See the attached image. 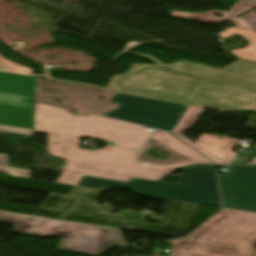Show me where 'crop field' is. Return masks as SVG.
<instances>
[{"label":"crop field","instance_id":"cbeb9de0","mask_svg":"<svg viewBox=\"0 0 256 256\" xmlns=\"http://www.w3.org/2000/svg\"><path fill=\"white\" fill-rule=\"evenodd\" d=\"M0 71L34 76L32 75L31 69L18 65L11 61H8L4 59L1 55H0Z\"/></svg>","mask_w":256,"mask_h":256},{"label":"crop field","instance_id":"5142ce71","mask_svg":"<svg viewBox=\"0 0 256 256\" xmlns=\"http://www.w3.org/2000/svg\"><path fill=\"white\" fill-rule=\"evenodd\" d=\"M254 151L248 150L246 154H238L232 161L231 163H240V164H245L248 163L249 159L253 155Z\"/></svg>","mask_w":256,"mask_h":256},{"label":"crop field","instance_id":"ac0d7876","mask_svg":"<svg viewBox=\"0 0 256 256\" xmlns=\"http://www.w3.org/2000/svg\"><path fill=\"white\" fill-rule=\"evenodd\" d=\"M107 90L219 111H256V62L240 60L224 69L191 62L135 65Z\"/></svg>","mask_w":256,"mask_h":256},{"label":"crop field","instance_id":"3316defc","mask_svg":"<svg viewBox=\"0 0 256 256\" xmlns=\"http://www.w3.org/2000/svg\"><path fill=\"white\" fill-rule=\"evenodd\" d=\"M238 142V140H229L227 138L205 134L201 136L195 144L203 147L228 163L236 154L231 152V150Z\"/></svg>","mask_w":256,"mask_h":256},{"label":"crop field","instance_id":"34b2d1b8","mask_svg":"<svg viewBox=\"0 0 256 256\" xmlns=\"http://www.w3.org/2000/svg\"><path fill=\"white\" fill-rule=\"evenodd\" d=\"M187 238L165 242L169 256H256V213L223 208Z\"/></svg>","mask_w":256,"mask_h":256},{"label":"crop field","instance_id":"8a807250","mask_svg":"<svg viewBox=\"0 0 256 256\" xmlns=\"http://www.w3.org/2000/svg\"><path fill=\"white\" fill-rule=\"evenodd\" d=\"M34 132L48 134V152L68 158L58 183L76 186L82 175L128 182L130 177L157 181L168 169L191 164H214L170 133L156 130L152 139L189 161L161 165L137 161L142 151L106 145L88 152L79 149V137L116 142L115 145L143 149L152 132L144 127L90 114L73 116L66 109L35 104Z\"/></svg>","mask_w":256,"mask_h":256},{"label":"crop field","instance_id":"28ad6ade","mask_svg":"<svg viewBox=\"0 0 256 256\" xmlns=\"http://www.w3.org/2000/svg\"><path fill=\"white\" fill-rule=\"evenodd\" d=\"M235 33H238L245 39L249 40V45L244 49L231 50L230 52L240 59L256 61V32L247 29L230 27L220 34V36L226 38Z\"/></svg>","mask_w":256,"mask_h":256},{"label":"crop field","instance_id":"5a996713","mask_svg":"<svg viewBox=\"0 0 256 256\" xmlns=\"http://www.w3.org/2000/svg\"><path fill=\"white\" fill-rule=\"evenodd\" d=\"M256 8V0H239L232 6L228 12L209 11L202 13H187L172 11L171 14L176 17L194 19L202 23L217 24L221 21H231L236 27L247 28L256 31V10L251 11L240 18L237 16ZM215 13L222 14L223 18L213 16Z\"/></svg>","mask_w":256,"mask_h":256},{"label":"crop field","instance_id":"dd49c442","mask_svg":"<svg viewBox=\"0 0 256 256\" xmlns=\"http://www.w3.org/2000/svg\"><path fill=\"white\" fill-rule=\"evenodd\" d=\"M110 101L120 106L103 116L167 131L171 130L187 108L186 105L121 93H116Z\"/></svg>","mask_w":256,"mask_h":256},{"label":"crop field","instance_id":"733c2abd","mask_svg":"<svg viewBox=\"0 0 256 256\" xmlns=\"http://www.w3.org/2000/svg\"><path fill=\"white\" fill-rule=\"evenodd\" d=\"M251 164H256V157H255V159L253 160V162Z\"/></svg>","mask_w":256,"mask_h":256},{"label":"crop field","instance_id":"e52e79f7","mask_svg":"<svg viewBox=\"0 0 256 256\" xmlns=\"http://www.w3.org/2000/svg\"><path fill=\"white\" fill-rule=\"evenodd\" d=\"M36 78L0 72V124L33 129Z\"/></svg>","mask_w":256,"mask_h":256},{"label":"crop field","instance_id":"f4fd0767","mask_svg":"<svg viewBox=\"0 0 256 256\" xmlns=\"http://www.w3.org/2000/svg\"><path fill=\"white\" fill-rule=\"evenodd\" d=\"M177 175L179 185L131 179L129 184L83 177L79 186L109 191L111 187L156 198L221 207L214 165H195Z\"/></svg>","mask_w":256,"mask_h":256},{"label":"crop field","instance_id":"d9b57169","mask_svg":"<svg viewBox=\"0 0 256 256\" xmlns=\"http://www.w3.org/2000/svg\"><path fill=\"white\" fill-rule=\"evenodd\" d=\"M176 136V135H175ZM179 139H181L182 141H184L185 143H187L188 145L192 146L193 148H195L196 150L200 151L201 153H203L204 155H206L207 157H209L210 159H212L213 161H215L218 164H224L222 162H220L219 160H217L216 158L212 157L211 155L207 154L206 152H204L203 150H201L200 148L196 147L195 145H193L192 143H190L189 141L183 139L180 136H177Z\"/></svg>","mask_w":256,"mask_h":256},{"label":"crop field","instance_id":"412701ff","mask_svg":"<svg viewBox=\"0 0 256 256\" xmlns=\"http://www.w3.org/2000/svg\"><path fill=\"white\" fill-rule=\"evenodd\" d=\"M0 222L13 224V233L62 238L58 249L98 256L112 246L128 247L120 229L0 211Z\"/></svg>","mask_w":256,"mask_h":256},{"label":"crop field","instance_id":"d8731c3e","mask_svg":"<svg viewBox=\"0 0 256 256\" xmlns=\"http://www.w3.org/2000/svg\"><path fill=\"white\" fill-rule=\"evenodd\" d=\"M230 173L218 175L224 207L256 212V167L229 166Z\"/></svg>","mask_w":256,"mask_h":256},{"label":"crop field","instance_id":"22f410ed","mask_svg":"<svg viewBox=\"0 0 256 256\" xmlns=\"http://www.w3.org/2000/svg\"><path fill=\"white\" fill-rule=\"evenodd\" d=\"M202 111V108L189 106L174 128L173 133L183 134L186 130L193 128Z\"/></svg>","mask_w":256,"mask_h":256},{"label":"crop field","instance_id":"d1516ede","mask_svg":"<svg viewBox=\"0 0 256 256\" xmlns=\"http://www.w3.org/2000/svg\"><path fill=\"white\" fill-rule=\"evenodd\" d=\"M0 132L14 133L27 136L33 135V130L4 125H0ZM0 172L13 176L30 178V170L8 167L7 155L4 154H0Z\"/></svg>","mask_w":256,"mask_h":256}]
</instances>
